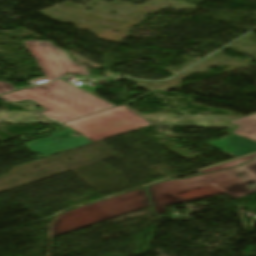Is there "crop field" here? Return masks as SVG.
I'll return each mask as SVG.
<instances>
[{
	"label": "crop field",
	"mask_w": 256,
	"mask_h": 256,
	"mask_svg": "<svg viewBox=\"0 0 256 256\" xmlns=\"http://www.w3.org/2000/svg\"><path fill=\"white\" fill-rule=\"evenodd\" d=\"M63 132H54L45 140L26 144L29 150L45 157L97 140L151 125L125 105L101 111L88 117L64 123ZM73 133L82 136L76 137Z\"/></svg>",
	"instance_id": "obj_1"
},
{
	"label": "crop field",
	"mask_w": 256,
	"mask_h": 256,
	"mask_svg": "<svg viewBox=\"0 0 256 256\" xmlns=\"http://www.w3.org/2000/svg\"><path fill=\"white\" fill-rule=\"evenodd\" d=\"M0 98L6 102L32 99L46 109L44 115L60 123L115 107L62 80L3 95Z\"/></svg>",
	"instance_id": "obj_2"
},
{
	"label": "crop field",
	"mask_w": 256,
	"mask_h": 256,
	"mask_svg": "<svg viewBox=\"0 0 256 256\" xmlns=\"http://www.w3.org/2000/svg\"><path fill=\"white\" fill-rule=\"evenodd\" d=\"M244 173V177L240 174ZM256 182V160L229 170L187 179L166 181L148 187L156 213H166L164 206L179 203L177 195L217 185L227 195L237 199L256 192L246 184Z\"/></svg>",
	"instance_id": "obj_3"
},
{
	"label": "crop field",
	"mask_w": 256,
	"mask_h": 256,
	"mask_svg": "<svg viewBox=\"0 0 256 256\" xmlns=\"http://www.w3.org/2000/svg\"><path fill=\"white\" fill-rule=\"evenodd\" d=\"M145 189L61 214L53 224V237L119 215L149 207Z\"/></svg>",
	"instance_id": "obj_4"
},
{
	"label": "crop field",
	"mask_w": 256,
	"mask_h": 256,
	"mask_svg": "<svg viewBox=\"0 0 256 256\" xmlns=\"http://www.w3.org/2000/svg\"><path fill=\"white\" fill-rule=\"evenodd\" d=\"M48 81L66 76V73L90 76L85 67L72 61L67 52L50 42L25 41Z\"/></svg>",
	"instance_id": "obj_5"
},
{
	"label": "crop field",
	"mask_w": 256,
	"mask_h": 256,
	"mask_svg": "<svg viewBox=\"0 0 256 256\" xmlns=\"http://www.w3.org/2000/svg\"><path fill=\"white\" fill-rule=\"evenodd\" d=\"M231 123L240 126L229 137L211 144L235 158L256 152V114Z\"/></svg>",
	"instance_id": "obj_6"
},
{
	"label": "crop field",
	"mask_w": 256,
	"mask_h": 256,
	"mask_svg": "<svg viewBox=\"0 0 256 256\" xmlns=\"http://www.w3.org/2000/svg\"><path fill=\"white\" fill-rule=\"evenodd\" d=\"M223 193H224L223 191H221L217 186H215V187L179 195L178 197L180 202H186L194 199L209 197V196L223 194Z\"/></svg>",
	"instance_id": "obj_7"
},
{
	"label": "crop field",
	"mask_w": 256,
	"mask_h": 256,
	"mask_svg": "<svg viewBox=\"0 0 256 256\" xmlns=\"http://www.w3.org/2000/svg\"><path fill=\"white\" fill-rule=\"evenodd\" d=\"M255 157H256V155H252V156L240 159V160H236V161H233V162H230V163L222 164V165H219V166H216V167H212V168H209V169H206V170L199 171V173L202 174V173H206V172H210V171H214V170L225 169V168L237 166V165H239L243 162H246L250 159H253Z\"/></svg>",
	"instance_id": "obj_8"
},
{
	"label": "crop field",
	"mask_w": 256,
	"mask_h": 256,
	"mask_svg": "<svg viewBox=\"0 0 256 256\" xmlns=\"http://www.w3.org/2000/svg\"><path fill=\"white\" fill-rule=\"evenodd\" d=\"M11 90H15L10 83L0 82V93L8 92Z\"/></svg>",
	"instance_id": "obj_9"
}]
</instances>
